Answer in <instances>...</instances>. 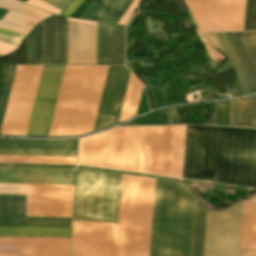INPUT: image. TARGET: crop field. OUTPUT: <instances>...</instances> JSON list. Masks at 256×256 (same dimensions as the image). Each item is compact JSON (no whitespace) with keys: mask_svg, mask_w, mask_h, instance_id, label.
Wrapping results in <instances>:
<instances>
[{"mask_svg":"<svg viewBox=\"0 0 256 256\" xmlns=\"http://www.w3.org/2000/svg\"><path fill=\"white\" fill-rule=\"evenodd\" d=\"M75 167L0 165V183L74 185Z\"/></svg>","mask_w":256,"mask_h":256,"instance_id":"14","label":"crop field"},{"mask_svg":"<svg viewBox=\"0 0 256 256\" xmlns=\"http://www.w3.org/2000/svg\"><path fill=\"white\" fill-rule=\"evenodd\" d=\"M59 9H63L67 4H69L72 0H43Z\"/></svg>","mask_w":256,"mask_h":256,"instance_id":"43","label":"crop field"},{"mask_svg":"<svg viewBox=\"0 0 256 256\" xmlns=\"http://www.w3.org/2000/svg\"><path fill=\"white\" fill-rule=\"evenodd\" d=\"M216 125L230 126V100L216 102Z\"/></svg>","mask_w":256,"mask_h":256,"instance_id":"36","label":"crop field"},{"mask_svg":"<svg viewBox=\"0 0 256 256\" xmlns=\"http://www.w3.org/2000/svg\"><path fill=\"white\" fill-rule=\"evenodd\" d=\"M67 62H96V23L68 18Z\"/></svg>","mask_w":256,"mask_h":256,"instance_id":"16","label":"crop field"},{"mask_svg":"<svg viewBox=\"0 0 256 256\" xmlns=\"http://www.w3.org/2000/svg\"><path fill=\"white\" fill-rule=\"evenodd\" d=\"M194 206L182 183L156 179L149 256H191Z\"/></svg>","mask_w":256,"mask_h":256,"instance_id":"2","label":"crop field"},{"mask_svg":"<svg viewBox=\"0 0 256 256\" xmlns=\"http://www.w3.org/2000/svg\"><path fill=\"white\" fill-rule=\"evenodd\" d=\"M138 12H139V11H138ZM132 16H133V15H132ZM131 18H132V17H131ZM131 18H130V20H131ZM130 20H129V21H130ZM128 23H129V22H128ZM128 23H127V25H128Z\"/></svg>","mask_w":256,"mask_h":256,"instance_id":"47","label":"crop field"},{"mask_svg":"<svg viewBox=\"0 0 256 256\" xmlns=\"http://www.w3.org/2000/svg\"><path fill=\"white\" fill-rule=\"evenodd\" d=\"M182 179L256 187V129L187 126Z\"/></svg>","mask_w":256,"mask_h":256,"instance_id":"1","label":"crop field"},{"mask_svg":"<svg viewBox=\"0 0 256 256\" xmlns=\"http://www.w3.org/2000/svg\"><path fill=\"white\" fill-rule=\"evenodd\" d=\"M43 66H28L10 135L25 136Z\"/></svg>","mask_w":256,"mask_h":256,"instance_id":"21","label":"crop field"},{"mask_svg":"<svg viewBox=\"0 0 256 256\" xmlns=\"http://www.w3.org/2000/svg\"><path fill=\"white\" fill-rule=\"evenodd\" d=\"M141 127L114 128L80 139L78 164L138 172Z\"/></svg>","mask_w":256,"mask_h":256,"instance_id":"6","label":"crop field"},{"mask_svg":"<svg viewBox=\"0 0 256 256\" xmlns=\"http://www.w3.org/2000/svg\"><path fill=\"white\" fill-rule=\"evenodd\" d=\"M64 67H43L27 135H48Z\"/></svg>","mask_w":256,"mask_h":256,"instance_id":"12","label":"crop field"},{"mask_svg":"<svg viewBox=\"0 0 256 256\" xmlns=\"http://www.w3.org/2000/svg\"><path fill=\"white\" fill-rule=\"evenodd\" d=\"M77 139L30 140L0 138L2 155L76 156ZM0 163L75 165L76 157L2 156Z\"/></svg>","mask_w":256,"mask_h":256,"instance_id":"7","label":"crop field"},{"mask_svg":"<svg viewBox=\"0 0 256 256\" xmlns=\"http://www.w3.org/2000/svg\"><path fill=\"white\" fill-rule=\"evenodd\" d=\"M67 18L43 21V64H66Z\"/></svg>","mask_w":256,"mask_h":256,"instance_id":"18","label":"crop field"},{"mask_svg":"<svg viewBox=\"0 0 256 256\" xmlns=\"http://www.w3.org/2000/svg\"><path fill=\"white\" fill-rule=\"evenodd\" d=\"M140 0H134L133 3L131 4V6L129 7V9L127 10V12L125 13V15L123 16V18L121 19V21L119 22V24L124 25L125 22L127 21V19L129 18L130 14L132 13V11L134 10V8L136 7V5L138 4Z\"/></svg>","mask_w":256,"mask_h":256,"instance_id":"44","label":"crop field"},{"mask_svg":"<svg viewBox=\"0 0 256 256\" xmlns=\"http://www.w3.org/2000/svg\"><path fill=\"white\" fill-rule=\"evenodd\" d=\"M170 124H183L180 122L178 108L165 109Z\"/></svg>","mask_w":256,"mask_h":256,"instance_id":"40","label":"crop field"},{"mask_svg":"<svg viewBox=\"0 0 256 256\" xmlns=\"http://www.w3.org/2000/svg\"><path fill=\"white\" fill-rule=\"evenodd\" d=\"M244 30H256V0H246Z\"/></svg>","mask_w":256,"mask_h":256,"instance_id":"37","label":"crop field"},{"mask_svg":"<svg viewBox=\"0 0 256 256\" xmlns=\"http://www.w3.org/2000/svg\"><path fill=\"white\" fill-rule=\"evenodd\" d=\"M0 8L8 10L0 21V28L25 35L34 25L51 15L22 5L16 0H0Z\"/></svg>","mask_w":256,"mask_h":256,"instance_id":"20","label":"crop field"},{"mask_svg":"<svg viewBox=\"0 0 256 256\" xmlns=\"http://www.w3.org/2000/svg\"><path fill=\"white\" fill-rule=\"evenodd\" d=\"M2 55H0V57H1Z\"/></svg>","mask_w":256,"mask_h":256,"instance_id":"48","label":"crop field"},{"mask_svg":"<svg viewBox=\"0 0 256 256\" xmlns=\"http://www.w3.org/2000/svg\"><path fill=\"white\" fill-rule=\"evenodd\" d=\"M201 32L243 30L245 0H185Z\"/></svg>","mask_w":256,"mask_h":256,"instance_id":"9","label":"crop field"},{"mask_svg":"<svg viewBox=\"0 0 256 256\" xmlns=\"http://www.w3.org/2000/svg\"><path fill=\"white\" fill-rule=\"evenodd\" d=\"M25 35L0 29V41L18 46Z\"/></svg>","mask_w":256,"mask_h":256,"instance_id":"38","label":"crop field"},{"mask_svg":"<svg viewBox=\"0 0 256 256\" xmlns=\"http://www.w3.org/2000/svg\"><path fill=\"white\" fill-rule=\"evenodd\" d=\"M216 34H217V36H218L220 42L222 43L224 49L226 50V52H227L229 58L231 59V61H232L233 65H234V67L236 68V70H237L239 76L241 77L243 83L245 84V86H246L248 92H249V93L256 92V87H255V85L253 84V82H252L250 76L248 75V73H247L245 67L243 66V64H242V62H241V60H240V58L238 57V55H237L235 49L233 48L231 42L229 41V39H228L226 33H216ZM225 50H224V51H225ZM230 59H229V60H230ZM235 68H234V69H235ZM240 77H239V78H240ZM244 84H243V85H244ZM245 86H244V87H245Z\"/></svg>","mask_w":256,"mask_h":256,"instance_id":"29","label":"crop field"},{"mask_svg":"<svg viewBox=\"0 0 256 256\" xmlns=\"http://www.w3.org/2000/svg\"><path fill=\"white\" fill-rule=\"evenodd\" d=\"M97 65H124V27L97 23Z\"/></svg>","mask_w":256,"mask_h":256,"instance_id":"19","label":"crop field"},{"mask_svg":"<svg viewBox=\"0 0 256 256\" xmlns=\"http://www.w3.org/2000/svg\"><path fill=\"white\" fill-rule=\"evenodd\" d=\"M24 3V2H23ZM25 4L43 9L45 11L51 12V13H55V14H59L60 10L40 1V0H28Z\"/></svg>","mask_w":256,"mask_h":256,"instance_id":"39","label":"crop field"},{"mask_svg":"<svg viewBox=\"0 0 256 256\" xmlns=\"http://www.w3.org/2000/svg\"><path fill=\"white\" fill-rule=\"evenodd\" d=\"M196 32H197V34H198V36H199V38H200L202 44H204L205 41H204L203 38L200 36L198 30H196ZM205 46H206V48H207V51H208V53H209V56L212 58V55H213V48L209 47V46L206 45V44H205Z\"/></svg>","mask_w":256,"mask_h":256,"instance_id":"45","label":"crop field"},{"mask_svg":"<svg viewBox=\"0 0 256 256\" xmlns=\"http://www.w3.org/2000/svg\"><path fill=\"white\" fill-rule=\"evenodd\" d=\"M132 0H95L80 18L118 24Z\"/></svg>","mask_w":256,"mask_h":256,"instance_id":"22","label":"crop field"},{"mask_svg":"<svg viewBox=\"0 0 256 256\" xmlns=\"http://www.w3.org/2000/svg\"><path fill=\"white\" fill-rule=\"evenodd\" d=\"M240 256H256V198L245 202Z\"/></svg>","mask_w":256,"mask_h":256,"instance_id":"24","label":"crop field"},{"mask_svg":"<svg viewBox=\"0 0 256 256\" xmlns=\"http://www.w3.org/2000/svg\"><path fill=\"white\" fill-rule=\"evenodd\" d=\"M122 174L77 168L73 219L118 222Z\"/></svg>","mask_w":256,"mask_h":256,"instance_id":"5","label":"crop field"},{"mask_svg":"<svg viewBox=\"0 0 256 256\" xmlns=\"http://www.w3.org/2000/svg\"><path fill=\"white\" fill-rule=\"evenodd\" d=\"M70 228L0 226V236L69 238Z\"/></svg>","mask_w":256,"mask_h":256,"instance_id":"27","label":"crop field"},{"mask_svg":"<svg viewBox=\"0 0 256 256\" xmlns=\"http://www.w3.org/2000/svg\"><path fill=\"white\" fill-rule=\"evenodd\" d=\"M69 239L0 237V256H68Z\"/></svg>","mask_w":256,"mask_h":256,"instance_id":"17","label":"crop field"},{"mask_svg":"<svg viewBox=\"0 0 256 256\" xmlns=\"http://www.w3.org/2000/svg\"><path fill=\"white\" fill-rule=\"evenodd\" d=\"M74 186L0 184V193L73 196Z\"/></svg>","mask_w":256,"mask_h":256,"instance_id":"25","label":"crop field"},{"mask_svg":"<svg viewBox=\"0 0 256 256\" xmlns=\"http://www.w3.org/2000/svg\"><path fill=\"white\" fill-rule=\"evenodd\" d=\"M227 35L256 85V31L227 33Z\"/></svg>","mask_w":256,"mask_h":256,"instance_id":"23","label":"crop field"},{"mask_svg":"<svg viewBox=\"0 0 256 256\" xmlns=\"http://www.w3.org/2000/svg\"><path fill=\"white\" fill-rule=\"evenodd\" d=\"M142 86L143 84L131 74L119 122L135 116Z\"/></svg>","mask_w":256,"mask_h":256,"instance_id":"28","label":"crop field"},{"mask_svg":"<svg viewBox=\"0 0 256 256\" xmlns=\"http://www.w3.org/2000/svg\"><path fill=\"white\" fill-rule=\"evenodd\" d=\"M205 124L215 125V112L209 116V119Z\"/></svg>","mask_w":256,"mask_h":256,"instance_id":"46","label":"crop field"},{"mask_svg":"<svg viewBox=\"0 0 256 256\" xmlns=\"http://www.w3.org/2000/svg\"><path fill=\"white\" fill-rule=\"evenodd\" d=\"M73 197L28 196L27 216L71 217ZM0 215L26 216V195H0Z\"/></svg>","mask_w":256,"mask_h":256,"instance_id":"13","label":"crop field"},{"mask_svg":"<svg viewBox=\"0 0 256 256\" xmlns=\"http://www.w3.org/2000/svg\"><path fill=\"white\" fill-rule=\"evenodd\" d=\"M15 67L16 65H8L1 95H0V128H1L2 120H3V116H4L6 104H7V99H8Z\"/></svg>","mask_w":256,"mask_h":256,"instance_id":"33","label":"crop field"},{"mask_svg":"<svg viewBox=\"0 0 256 256\" xmlns=\"http://www.w3.org/2000/svg\"><path fill=\"white\" fill-rule=\"evenodd\" d=\"M162 115H163V109L150 113L144 117L135 119L122 126L166 124L167 121L162 117Z\"/></svg>","mask_w":256,"mask_h":256,"instance_id":"35","label":"crop field"},{"mask_svg":"<svg viewBox=\"0 0 256 256\" xmlns=\"http://www.w3.org/2000/svg\"><path fill=\"white\" fill-rule=\"evenodd\" d=\"M206 210L196 201L192 256H203Z\"/></svg>","mask_w":256,"mask_h":256,"instance_id":"30","label":"crop field"},{"mask_svg":"<svg viewBox=\"0 0 256 256\" xmlns=\"http://www.w3.org/2000/svg\"><path fill=\"white\" fill-rule=\"evenodd\" d=\"M32 64H42V23L32 31Z\"/></svg>","mask_w":256,"mask_h":256,"instance_id":"34","label":"crop field"},{"mask_svg":"<svg viewBox=\"0 0 256 256\" xmlns=\"http://www.w3.org/2000/svg\"><path fill=\"white\" fill-rule=\"evenodd\" d=\"M84 0H75L60 15L70 16Z\"/></svg>","mask_w":256,"mask_h":256,"instance_id":"41","label":"crop field"},{"mask_svg":"<svg viewBox=\"0 0 256 256\" xmlns=\"http://www.w3.org/2000/svg\"><path fill=\"white\" fill-rule=\"evenodd\" d=\"M108 66H66L49 136L93 130Z\"/></svg>","mask_w":256,"mask_h":256,"instance_id":"3","label":"crop field"},{"mask_svg":"<svg viewBox=\"0 0 256 256\" xmlns=\"http://www.w3.org/2000/svg\"><path fill=\"white\" fill-rule=\"evenodd\" d=\"M129 74L125 67L109 66L94 130L117 124Z\"/></svg>","mask_w":256,"mask_h":256,"instance_id":"15","label":"crop field"},{"mask_svg":"<svg viewBox=\"0 0 256 256\" xmlns=\"http://www.w3.org/2000/svg\"><path fill=\"white\" fill-rule=\"evenodd\" d=\"M174 126L142 127L139 172L170 177Z\"/></svg>","mask_w":256,"mask_h":256,"instance_id":"10","label":"crop field"},{"mask_svg":"<svg viewBox=\"0 0 256 256\" xmlns=\"http://www.w3.org/2000/svg\"><path fill=\"white\" fill-rule=\"evenodd\" d=\"M186 126H175L171 177L181 179Z\"/></svg>","mask_w":256,"mask_h":256,"instance_id":"31","label":"crop field"},{"mask_svg":"<svg viewBox=\"0 0 256 256\" xmlns=\"http://www.w3.org/2000/svg\"><path fill=\"white\" fill-rule=\"evenodd\" d=\"M244 202L221 212L207 211L204 256H239Z\"/></svg>","mask_w":256,"mask_h":256,"instance_id":"8","label":"crop field"},{"mask_svg":"<svg viewBox=\"0 0 256 256\" xmlns=\"http://www.w3.org/2000/svg\"><path fill=\"white\" fill-rule=\"evenodd\" d=\"M231 126L255 127V95L231 100Z\"/></svg>","mask_w":256,"mask_h":256,"instance_id":"26","label":"crop field"},{"mask_svg":"<svg viewBox=\"0 0 256 256\" xmlns=\"http://www.w3.org/2000/svg\"><path fill=\"white\" fill-rule=\"evenodd\" d=\"M71 218L21 217V226L70 227Z\"/></svg>","mask_w":256,"mask_h":256,"instance_id":"32","label":"crop field"},{"mask_svg":"<svg viewBox=\"0 0 256 256\" xmlns=\"http://www.w3.org/2000/svg\"><path fill=\"white\" fill-rule=\"evenodd\" d=\"M154 184L123 174L116 256H148Z\"/></svg>","mask_w":256,"mask_h":256,"instance_id":"4","label":"crop field"},{"mask_svg":"<svg viewBox=\"0 0 256 256\" xmlns=\"http://www.w3.org/2000/svg\"><path fill=\"white\" fill-rule=\"evenodd\" d=\"M202 36L204 37L208 44L218 48L220 51L223 52L213 33L202 34Z\"/></svg>","mask_w":256,"mask_h":256,"instance_id":"42","label":"crop field"},{"mask_svg":"<svg viewBox=\"0 0 256 256\" xmlns=\"http://www.w3.org/2000/svg\"><path fill=\"white\" fill-rule=\"evenodd\" d=\"M118 224L73 221L70 256H115Z\"/></svg>","mask_w":256,"mask_h":256,"instance_id":"11","label":"crop field"}]
</instances>
